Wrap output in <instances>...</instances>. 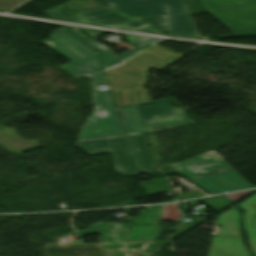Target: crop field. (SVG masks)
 Returning a JSON list of instances; mask_svg holds the SVG:
<instances>
[{
    "mask_svg": "<svg viewBox=\"0 0 256 256\" xmlns=\"http://www.w3.org/2000/svg\"><path fill=\"white\" fill-rule=\"evenodd\" d=\"M42 43L72 62L60 65L75 77L91 75L95 109L78 135L80 141L126 135L106 86L97 53L79 41L64 28L56 30Z\"/></svg>",
    "mask_w": 256,
    "mask_h": 256,
    "instance_id": "obj_1",
    "label": "crop field"
},
{
    "mask_svg": "<svg viewBox=\"0 0 256 256\" xmlns=\"http://www.w3.org/2000/svg\"><path fill=\"white\" fill-rule=\"evenodd\" d=\"M182 53L174 52L158 45L131 61L106 71L117 106L150 101L147 89H138L146 81V70L159 69L177 59Z\"/></svg>",
    "mask_w": 256,
    "mask_h": 256,
    "instance_id": "obj_2",
    "label": "crop field"
},
{
    "mask_svg": "<svg viewBox=\"0 0 256 256\" xmlns=\"http://www.w3.org/2000/svg\"><path fill=\"white\" fill-rule=\"evenodd\" d=\"M131 16L167 15L168 33L173 36L193 38L185 0H100Z\"/></svg>",
    "mask_w": 256,
    "mask_h": 256,
    "instance_id": "obj_3",
    "label": "crop field"
},
{
    "mask_svg": "<svg viewBox=\"0 0 256 256\" xmlns=\"http://www.w3.org/2000/svg\"><path fill=\"white\" fill-rule=\"evenodd\" d=\"M76 143L89 155L111 153L117 172L124 176L142 173L127 136Z\"/></svg>",
    "mask_w": 256,
    "mask_h": 256,
    "instance_id": "obj_4",
    "label": "crop field"
},
{
    "mask_svg": "<svg viewBox=\"0 0 256 256\" xmlns=\"http://www.w3.org/2000/svg\"><path fill=\"white\" fill-rule=\"evenodd\" d=\"M216 224L222 228L211 242L209 256H250L242 241L236 206L219 215Z\"/></svg>",
    "mask_w": 256,
    "mask_h": 256,
    "instance_id": "obj_5",
    "label": "crop field"
},
{
    "mask_svg": "<svg viewBox=\"0 0 256 256\" xmlns=\"http://www.w3.org/2000/svg\"><path fill=\"white\" fill-rule=\"evenodd\" d=\"M52 18L64 19L73 22L99 25L105 27H121L130 30L145 27L147 25L130 18L111 7L83 11L75 14L64 4L46 11Z\"/></svg>",
    "mask_w": 256,
    "mask_h": 256,
    "instance_id": "obj_6",
    "label": "crop field"
},
{
    "mask_svg": "<svg viewBox=\"0 0 256 256\" xmlns=\"http://www.w3.org/2000/svg\"><path fill=\"white\" fill-rule=\"evenodd\" d=\"M115 224L97 223L89 226L87 233H101L99 243L106 250L108 256H125L122 250H118L125 246L126 252L133 249L141 250L144 243L145 253H150L159 247L163 246L169 241H151V242H135V243H125L128 231L131 225H124L123 229L118 231H110L113 229Z\"/></svg>",
    "mask_w": 256,
    "mask_h": 256,
    "instance_id": "obj_7",
    "label": "crop field"
},
{
    "mask_svg": "<svg viewBox=\"0 0 256 256\" xmlns=\"http://www.w3.org/2000/svg\"><path fill=\"white\" fill-rule=\"evenodd\" d=\"M148 132L192 123L181 108H172L165 99L137 104Z\"/></svg>",
    "mask_w": 256,
    "mask_h": 256,
    "instance_id": "obj_8",
    "label": "crop field"
},
{
    "mask_svg": "<svg viewBox=\"0 0 256 256\" xmlns=\"http://www.w3.org/2000/svg\"><path fill=\"white\" fill-rule=\"evenodd\" d=\"M234 35H256V2L208 10Z\"/></svg>",
    "mask_w": 256,
    "mask_h": 256,
    "instance_id": "obj_9",
    "label": "crop field"
},
{
    "mask_svg": "<svg viewBox=\"0 0 256 256\" xmlns=\"http://www.w3.org/2000/svg\"><path fill=\"white\" fill-rule=\"evenodd\" d=\"M208 193L231 192L254 188L233 169L190 179Z\"/></svg>",
    "mask_w": 256,
    "mask_h": 256,
    "instance_id": "obj_10",
    "label": "crop field"
},
{
    "mask_svg": "<svg viewBox=\"0 0 256 256\" xmlns=\"http://www.w3.org/2000/svg\"><path fill=\"white\" fill-rule=\"evenodd\" d=\"M179 217L181 214L176 204L154 206L150 226L133 225L126 242L158 240L163 229L159 225L160 219L178 221Z\"/></svg>",
    "mask_w": 256,
    "mask_h": 256,
    "instance_id": "obj_11",
    "label": "crop field"
},
{
    "mask_svg": "<svg viewBox=\"0 0 256 256\" xmlns=\"http://www.w3.org/2000/svg\"><path fill=\"white\" fill-rule=\"evenodd\" d=\"M125 35H126V41L134 45L135 47L118 57L114 55L110 50H108L96 39L91 41H86L85 43H87L89 46H91L93 49H95L99 53L104 68L108 69L146 50L150 46L160 41L159 39L140 37V36H134V35H128V34H125Z\"/></svg>",
    "mask_w": 256,
    "mask_h": 256,
    "instance_id": "obj_12",
    "label": "crop field"
},
{
    "mask_svg": "<svg viewBox=\"0 0 256 256\" xmlns=\"http://www.w3.org/2000/svg\"><path fill=\"white\" fill-rule=\"evenodd\" d=\"M230 167L231 166L227 162H217L198 156L183 160L181 172L187 178H190Z\"/></svg>",
    "mask_w": 256,
    "mask_h": 256,
    "instance_id": "obj_13",
    "label": "crop field"
},
{
    "mask_svg": "<svg viewBox=\"0 0 256 256\" xmlns=\"http://www.w3.org/2000/svg\"><path fill=\"white\" fill-rule=\"evenodd\" d=\"M237 206L246 211L242 216L243 229L246 232L248 245L256 256V194Z\"/></svg>",
    "mask_w": 256,
    "mask_h": 256,
    "instance_id": "obj_14",
    "label": "crop field"
},
{
    "mask_svg": "<svg viewBox=\"0 0 256 256\" xmlns=\"http://www.w3.org/2000/svg\"><path fill=\"white\" fill-rule=\"evenodd\" d=\"M128 135L148 133L135 105L117 107Z\"/></svg>",
    "mask_w": 256,
    "mask_h": 256,
    "instance_id": "obj_15",
    "label": "crop field"
},
{
    "mask_svg": "<svg viewBox=\"0 0 256 256\" xmlns=\"http://www.w3.org/2000/svg\"><path fill=\"white\" fill-rule=\"evenodd\" d=\"M131 142L134 145L139 163L143 169V172L147 170V157H146V141L144 135H132L130 136ZM135 151V152H136Z\"/></svg>",
    "mask_w": 256,
    "mask_h": 256,
    "instance_id": "obj_16",
    "label": "crop field"
},
{
    "mask_svg": "<svg viewBox=\"0 0 256 256\" xmlns=\"http://www.w3.org/2000/svg\"><path fill=\"white\" fill-rule=\"evenodd\" d=\"M157 31L167 30L166 16L135 18Z\"/></svg>",
    "mask_w": 256,
    "mask_h": 256,
    "instance_id": "obj_17",
    "label": "crop field"
},
{
    "mask_svg": "<svg viewBox=\"0 0 256 256\" xmlns=\"http://www.w3.org/2000/svg\"><path fill=\"white\" fill-rule=\"evenodd\" d=\"M201 5L205 8H213L218 6H224V5H232V4H240V3H246V2H252L256 0H200Z\"/></svg>",
    "mask_w": 256,
    "mask_h": 256,
    "instance_id": "obj_18",
    "label": "crop field"
},
{
    "mask_svg": "<svg viewBox=\"0 0 256 256\" xmlns=\"http://www.w3.org/2000/svg\"><path fill=\"white\" fill-rule=\"evenodd\" d=\"M64 27L67 28L69 31H71L73 34H75L77 37H79L83 41L91 40L92 39L90 37L91 35L103 32L99 30H92V29H85V28H78V27H69V26H64Z\"/></svg>",
    "mask_w": 256,
    "mask_h": 256,
    "instance_id": "obj_19",
    "label": "crop field"
},
{
    "mask_svg": "<svg viewBox=\"0 0 256 256\" xmlns=\"http://www.w3.org/2000/svg\"><path fill=\"white\" fill-rule=\"evenodd\" d=\"M152 206L147 207V210H141L138 217L134 218L133 223L148 224L150 222Z\"/></svg>",
    "mask_w": 256,
    "mask_h": 256,
    "instance_id": "obj_20",
    "label": "crop field"
},
{
    "mask_svg": "<svg viewBox=\"0 0 256 256\" xmlns=\"http://www.w3.org/2000/svg\"><path fill=\"white\" fill-rule=\"evenodd\" d=\"M22 0H0V10L6 11L16 4L20 3Z\"/></svg>",
    "mask_w": 256,
    "mask_h": 256,
    "instance_id": "obj_21",
    "label": "crop field"
},
{
    "mask_svg": "<svg viewBox=\"0 0 256 256\" xmlns=\"http://www.w3.org/2000/svg\"><path fill=\"white\" fill-rule=\"evenodd\" d=\"M201 156H203V157H205V158L217 160V161H225V160L222 159L218 154H216L214 151L205 153V154H203V155H201Z\"/></svg>",
    "mask_w": 256,
    "mask_h": 256,
    "instance_id": "obj_22",
    "label": "crop field"
},
{
    "mask_svg": "<svg viewBox=\"0 0 256 256\" xmlns=\"http://www.w3.org/2000/svg\"><path fill=\"white\" fill-rule=\"evenodd\" d=\"M135 31H141V32H147V33H154V34L163 35V34H161V33L157 32V31L153 30L152 28H150V27H148V26L145 27V28L137 29V30H135Z\"/></svg>",
    "mask_w": 256,
    "mask_h": 256,
    "instance_id": "obj_23",
    "label": "crop field"
},
{
    "mask_svg": "<svg viewBox=\"0 0 256 256\" xmlns=\"http://www.w3.org/2000/svg\"><path fill=\"white\" fill-rule=\"evenodd\" d=\"M171 167L175 168L176 170L180 171L181 161L175 164L170 165Z\"/></svg>",
    "mask_w": 256,
    "mask_h": 256,
    "instance_id": "obj_24",
    "label": "crop field"
}]
</instances>
